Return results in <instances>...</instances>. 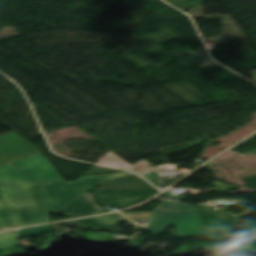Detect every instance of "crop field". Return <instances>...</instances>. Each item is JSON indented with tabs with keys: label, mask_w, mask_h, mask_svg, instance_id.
<instances>
[{
	"label": "crop field",
	"mask_w": 256,
	"mask_h": 256,
	"mask_svg": "<svg viewBox=\"0 0 256 256\" xmlns=\"http://www.w3.org/2000/svg\"><path fill=\"white\" fill-rule=\"evenodd\" d=\"M0 195L14 228L51 221L37 183L0 185Z\"/></svg>",
	"instance_id": "8a807250"
},
{
	"label": "crop field",
	"mask_w": 256,
	"mask_h": 256,
	"mask_svg": "<svg viewBox=\"0 0 256 256\" xmlns=\"http://www.w3.org/2000/svg\"><path fill=\"white\" fill-rule=\"evenodd\" d=\"M167 225H176L169 231L175 238L206 234L195 206L166 201L155 213L145 231L160 234Z\"/></svg>",
	"instance_id": "ac0d7876"
},
{
	"label": "crop field",
	"mask_w": 256,
	"mask_h": 256,
	"mask_svg": "<svg viewBox=\"0 0 256 256\" xmlns=\"http://www.w3.org/2000/svg\"><path fill=\"white\" fill-rule=\"evenodd\" d=\"M12 163L37 181L12 166ZM51 181L64 180L42 153L0 165V184Z\"/></svg>",
	"instance_id": "34b2d1b8"
},
{
	"label": "crop field",
	"mask_w": 256,
	"mask_h": 256,
	"mask_svg": "<svg viewBox=\"0 0 256 256\" xmlns=\"http://www.w3.org/2000/svg\"><path fill=\"white\" fill-rule=\"evenodd\" d=\"M126 172L95 176H81L75 182L39 183L42 192L47 196L50 204V213L56 211L95 186L110 179L129 176Z\"/></svg>",
	"instance_id": "412701ff"
},
{
	"label": "crop field",
	"mask_w": 256,
	"mask_h": 256,
	"mask_svg": "<svg viewBox=\"0 0 256 256\" xmlns=\"http://www.w3.org/2000/svg\"><path fill=\"white\" fill-rule=\"evenodd\" d=\"M209 240H227L228 233L236 228L239 217L249 213L232 215L230 212H217L196 208Z\"/></svg>",
	"instance_id": "f4fd0767"
},
{
	"label": "crop field",
	"mask_w": 256,
	"mask_h": 256,
	"mask_svg": "<svg viewBox=\"0 0 256 256\" xmlns=\"http://www.w3.org/2000/svg\"><path fill=\"white\" fill-rule=\"evenodd\" d=\"M125 220L127 219L124 216L115 213L95 218L69 221L67 224L68 226H78L83 229L122 233L121 229L115 225Z\"/></svg>",
	"instance_id": "dd49c442"
},
{
	"label": "crop field",
	"mask_w": 256,
	"mask_h": 256,
	"mask_svg": "<svg viewBox=\"0 0 256 256\" xmlns=\"http://www.w3.org/2000/svg\"><path fill=\"white\" fill-rule=\"evenodd\" d=\"M93 196L88 192L61 209L54 212V214H62L69 216H87L100 213L102 210L100 206L93 202Z\"/></svg>",
	"instance_id": "e52e79f7"
},
{
	"label": "crop field",
	"mask_w": 256,
	"mask_h": 256,
	"mask_svg": "<svg viewBox=\"0 0 256 256\" xmlns=\"http://www.w3.org/2000/svg\"><path fill=\"white\" fill-rule=\"evenodd\" d=\"M98 163L123 168L126 170L133 171L135 173L153 170L152 167H150L145 161L131 166L130 164H128L126 161H124L122 158H120L118 155L114 153L108 154L107 156L99 160Z\"/></svg>",
	"instance_id": "d8731c3e"
},
{
	"label": "crop field",
	"mask_w": 256,
	"mask_h": 256,
	"mask_svg": "<svg viewBox=\"0 0 256 256\" xmlns=\"http://www.w3.org/2000/svg\"><path fill=\"white\" fill-rule=\"evenodd\" d=\"M231 243L256 244V221H254L246 230L240 232Z\"/></svg>",
	"instance_id": "5a996713"
},
{
	"label": "crop field",
	"mask_w": 256,
	"mask_h": 256,
	"mask_svg": "<svg viewBox=\"0 0 256 256\" xmlns=\"http://www.w3.org/2000/svg\"><path fill=\"white\" fill-rule=\"evenodd\" d=\"M18 241L13 231L0 234V249L17 247Z\"/></svg>",
	"instance_id": "3316defc"
},
{
	"label": "crop field",
	"mask_w": 256,
	"mask_h": 256,
	"mask_svg": "<svg viewBox=\"0 0 256 256\" xmlns=\"http://www.w3.org/2000/svg\"><path fill=\"white\" fill-rule=\"evenodd\" d=\"M13 228L0 197V230Z\"/></svg>",
	"instance_id": "28ad6ade"
},
{
	"label": "crop field",
	"mask_w": 256,
	"mask_h": 256,
	"mask_svg": "<svg viewBox=\"0 0 256 256\" xmlns=\"http://www.w3.org/2000/svg\"><path fill=\"white\" fill-rule=\"evenodd\" d=\"M130 219H148L151 212H126L123 213Z\"/></svg>",
	"instance_id": "d1516ede"
}]
</instances>
